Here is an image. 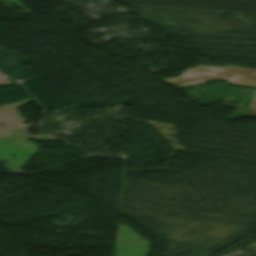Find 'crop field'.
<instances>
[{"mask_svg": "<svg viewBox=\"0 0 256 256\" xmlns=\"http://www.w3.org/2000/svg\"><path fill=\"white\" fill-rule=\"evenodd\" d=\"M227 74L234 75V77H226ZM208 79H221L230 83L256 87V70L229 66H224L222 69L199 66L183 72L180 77L162 81L179 88L201 84Z\"/></svg>", "mask_w": 256, "mask_h": 256, "instance_id": "crop-field-1", "label": "crop field"}]
</instances>
